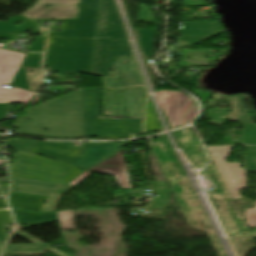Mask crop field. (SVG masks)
Masks as SVG:
<instances>
[{
  "label": "crop field",
  "instance_id": "crop-field-1",
  "mask_svg": "<svg viewBox=\"0 0 256 256\" xmlns=\"http://www.w3.org/2000/svg\"><path fill=\"white\" fill-rule=\"evenodd\" d=\"M70 94L45 102L47 106L40 104L27 109V117H19L16 122L22 126L17 127L15 134L50 139L83 138L82 90Z\"/></svg>",
  "mask_w": 256,
  "mask_h": 256
},
{
  "label": "crop field",
  "instance_id": "crop-field-2",
  "mask_svg": "<svg viewBox=\"0 0 256 256\" xmlns=\"http://www.w3.org/2000/svg\"><path fill=\"white\" fill-rule=\"evenodd\" d=\"M128 143L130 142L81 144L75 147V143L36 142L29 153L86 169L116 153Z\"/></svg>",
  "mask_w": 256,
  "mask_h": 256
},
{
  "label": "crop field",
  "instance_id": "crop-field-3",
  "mask_svg": "<svg viewBox=\"0 0 256 256\" xmlns=\"http://www.w3.org/2000/svg\"><path fill=\"white\" fill-rule=\"evenodd\" d=\"M94 40L49 38L43 67H53L54 72L90 74Z\"/></svg>",
  "mask_w": 256,
  "mask_h": 256
},
{
  "label": "crop field",
  "instance_id": "crop-field-4",
  "mask_svg": "<svg viewBox=\"0 0 256 256\" xmlns=\"http://www.w3.org/2000/svg\"><path fill=\"white\" fill-rule=\"evenodd\" d=\"M84 137L124 138L141 133L143 120L98 118V89H83Z\"/></svg>",
  "mask_w": 256,
  "mask_h": 256
},
{
  "label": "crop field",
  "instance_id": "crop-field-5",
  "mask_svg": "<svg viewBox=\"0 0 256 256\" xmlns=\"http://www.w3.org/2000/svg\"><path fill=\"white\" fill-rule=\"evenodd\" d=\"M83 170L16 150L9 167L10 175L14 177L62 184H66Z\"/></svg>",
  "mask_w": 256,
  "mask_h": 256
},
{
  "label": "crop field",
  "instance_id": "crop-field-6",
  "mask_svg": "<svg viewBox=\"0 0 256 256\" xmlns=\"http://www.w3.org/2000/svg\"><path fill=\"white\" fill-rule=\"evenodd\" d=\"M100 0H81L78 19H61L63 32L49 37L95 38Z\"/></svg>",
  "mask_w": 256,
  "mask_h": 256
},
{
  "label": "crop field",
  "instance_id": "crop-field-7",
  "mask_svg": "<svg viewBox=\"0 0 256 256\" xmlns=\"http://www.w3.org/2000/svg\"><path fill=\"white\" fill-rule=\"evenodd\" d=\"M47 197L11 193L9 201L17 223L32 227L56 220L55 213H41Z\"/></svg>",
  "mask_w": 256,
  "mask_h": 256
},
{
  "label": "crop field",
  "instance_id": "crop-field-8",
  "mask_svg": "<svg viewBox=\"0 0 256 256\" xmlns=\"http://www.w3.org/2000/svg\"><path fill=\"white\" fill-rule=\"evenodd\" d=\"M119 56L133 57L127 40L97 39L92 60L91 74H108Z\"/></svg>",
  "mask_w": 256,
  "mask_h": 256
},
{
  "label": "crop field",
  "instance_id": "crop-field-9",
  "mask_svg": "<svg viewBox=\"0 0 256 256\" xmlns=\"http://www.w3.org/2000/svg\"><path fill=\"white\" fill-rule=\"evenodd\" d=\"M24 54L0 49V86L10 84ZM33 95L21 89L0 88V103H26Z\"/></svg>",
  "mask_w": 256,
  "mask_h": 256
},
{
  "label": "crop field",
  "instance_id": "crop-field-10",
  "mask_svg": "<svg viewBox=\"0 0 256 256\" xmlns=\"http://www.w3.org/2000/svg\"><path fill=\"white\" fill-rule=\"evenodd\" d=\"M232 147H208V150L232 198L236 199L240 198L237 191L247 188V182L245 169H240V163L225 162Z\"/></svg>",
  "mask_w": 256,
  "mask_h": 256
},
{
  "label": "crop field",
  "instance_id": "crop-field-11",
  "mask_svg": "<svg viewBox=\"0 0 256 256\" xmlns=\"http://www.w3.org/2000/svg\"><path fill=\"white\" fill-rule=\"evenodd\" d=\"M155 95L172 128L178 126L193 104L191 99L181 92L162 91Z\"/></svg>",
  "mask_w": 256,
  "mask_h": 256
},
{
  "label": "crop field",
  "instance_id": "crop-field-12",
  "mask_svg": "<svg viewBox=\"0 0 256 256\" xmlns=\"http://www.w3.org/2000/svg\"><path fill=\"white\" fill-rule=\"evenodd\" d=\"M96 38L127 39L113 0H101Z\"/></svg>",
  "mask_w": 256,
  "mask_h": 256
},
{
  "label": "crop field",
  "instance_id": "crop-field-13",
  "mask_svg": "<svg viewBox=\"0 0 256 256\" xmlns=\"http://www.w3.org/2000/svg\"><path fill=\"white\" fill-rule=\"evenodd\" d=\"M79 2L80 0H39L34 7L21 14L31 18L46 9V5H73V7H51L34 19L77 18L79 7H75V4Z\"/></svg>",
  "mask_w": 256,
  "mask_h": 256
},
{
  "label": "crop field",
  "instance_id": "crop-field-14",
  "mask_svg": "<svg viewBox=\"0 0 256 256\" xmlns=\"http://www.w3.org/2000/svg\"><path fill=\"white\" fill-rule=\"evenodd\" d=\"M89 170L101 174H112L121 189L131 188L122 150L117 153L116 157H112Z\"/></svg>",
  "mask_w": 256,
  "mask_h": 256
},
{
  "label": "crop field",
  "instance_id": "crop-field-15",
  "mask_svg": "<svg viewBox=\"0 0 256 256\" xmlns=\"http://www.w3.org/2000/svg\"><path fill=\"white\" fill-rule=\"evenodd\" d=\"M23 21V23L19 26H12L18 21ZM27 29H31L32 34H38V31H47L48 29L37 28V23L18 15L14 18H10L7 22H0V31L20 34L22 32H27Z\"/></svg>",
  "mask_w": 256,
  "mask_h": 256
},
{
  "label": "crop field",
  "instance_id": "crop-field-16",
  "mask_svg": "<svg viewBox=\"0 0 256 256\" xmlns=\"http://www.w3.org/2000/svg\"><path fill=\"white\" fill-rule=\"evenodd\" d=\"M50 244L8 245L4 256L43 255Z\"/></svg>",
  "mask_w": 256,
  "mask_h": 256
},
{
  "label": "crop field",
  "instance_id": "crop-field-17",
  "mask_svg": "<svg viewBox=\"0 0 256 256\" xmlns=\"http://www.w3.org/2000/svg\"><path fill=\"white\" fill-rule=\"evenodd\" d=\"M11 192L48 196V199L42 209V212L54 211L62 195L61 193L38 191V190L15 188V187H12Z\"/></svg>",
  "mask_w": 256,
  "mask_h": 256
},
{
  "label": "crop field",
  "instance_id": "crop-field-18",
  "mask_svg": "<svg viewBox=\"0 0 256 256\" xmlns=\"http://www.w3.org/2000/svg\"><path fill=\"white\" fill-rule=\"evenodd\" d=\"M183 34L219 33L218 22L184 23L181 27Z\"/></svg>",
  "mask_w": 256,
  "mask_h": 256
},
{
  "label": "crop field",
  "instance_id": "crop-field-19",
  "mask_svg": "<svg viewBox=\"0 0 256 256\" xmlns=\"http://www.w3.org/2000/svg\"><path fill=\"white\" fill-rule=\"evenodd\" d=\"M11 183L12 185H15V186L38 188V189H45V190H52V191H58L63 186H65L62 184L41 182V181L14 178V177H11Z\"/></svg>",
  "mask_w": 256,
  "mask_h": 256
},
{
  "label": "crop field",
  "instance_id": "crop-field-20",
  "mask_svg": "<svg viewBox=\"0 0 256 256\" xmlns=\"http://www.w3.org/2000/svg\"><path fill=\"white\" fill-rule=\"evenodd\" d=\"M245 127L242 133V144L256 145V125L252 124V116L239 117Z\"/></svg>",
  "mask_w": 256,
  "mask_h": 256
},
{
  "label": "crop field",
  "instance_id": "crop-field-21",
  "mask_svg": "<svg viewBox=\"0 0 256 256\" xmlns=\"http://www.w3.org/2000/svg\"><path fill=\"white\" fill-rule=\"evenodd\" d=\"M145 57L152 56L155 29H136Z\"/></svg>",
  "mask_w": 256,
  "mask_h": 256
},
{
  "label": "crop field",
  "instance_id": "crop-field-22",
  "mask_svg": "<svg viewBox=\"0 0 256 256\" xmlns=\"http://www.w3.org/2000/svg\"><path fill=\"white\" fill-rule=\"evenodd\" d=\"M232 112L229 121H239V116L248 115L246 111L245 95L231 98Z\"/></svg>",
  "mask_w": 256,
  "mask_h": 256
},
{
  "label": "crop field",
  "instance_id": "crop-field-23",
  "mask_svg": "<svg viewBox=\"0 0 256 256\" xmlns=\"http://www.w3.org/2000/svg\"><path fill=\"white\" fill-rule=\"evenodd\" d=\"M14 224L9 210L0 211V255L8 241L10 235H7L3 226Z\"/></svg>",
  "mask_w": 256,
  "mask_h": 256
},
{
  "label": "crop field",
  "instance_id": "crop-field-24",
  "mask_svg": "<svg viewBox=\"0 0 256 256\" xmlns=\"http://www.w3.org/2000/svg\"><path fill=\"white\" fill-rule=\"evenodd\" d=\"M155 108L152 104L151 99L149 98L148 103H147V107L145 109L146 112V121L144 123V127H145V132H151V131H155V130H160L157 122L155 120L154 117V112Z\"/></svg>",
  "mask_w": 256,
  "mask_h": 256
},
{
  "label": "crop field",
  "instance_id": "crop-field-25",
  "mask_svg": "<svg viewBox=\"0 0 256 256\" xmlns=\"http://www.w3.org/2000/svg\"><path fill=\"white\" fill-rule=\"evenodd\" d=\"M60 230L75 229L74 211L58 212Z\"/></svg>",
  "mask_w": 256,
  "mask_h": 256
},
{
  "label": "crop field",
  "instance_id": "crop-field-26",
  "mask_svg": "<svg viewBox=\"0 0 256 256\" xmlns=\"http://www.w3.org/2000/svg\"><path fill=\"white\" fill-rule=\"evenodd\" d=\"M34 144L35 142L33 141L19 140V139H12V140L6 141L7 147L15 148V149L26 151V152L30 151V149L33 147Z\"/></svg>",
  "mask_w": 256,
  "mask_h": 256
},
{
  "label": "crop field",
  "instance_id": "crop-field-27",
  "mask_svg": "<svg viewBox=\"0 0 256 256\" xmlns=\"http://www.w3.org/2000/svg\"><path fill=\"white\" fill-rule=\"evenodd\" d=\"M208 115H209V118H211V121L209 122V124L223 126L228 115V110L213 109L211 112H209ZM221 115H223V118H220Z\"/></svg>",
  "mask_w": 256,
  "mask_h": 256
},
{
  "label": "crop field",
  "instance_id": "crop-field-28",
  "mask_svg": "<svg viewBox=\"0 0 256 256\" xmlns=\"http://www.w3.org/2000/svg\"><path fill=\"white\" fill-rule=\"evenodd\" d=\"M12 85L24 88L26 90L29 89L28 81H27V76H26V70L25 67H20L13 82Z\"/></svg>",
  "mask_w": 256,
  "mask_h": 256
},
{
  "label": "crop field",
  "instance_id": "crop-field-29",
  "mask_svg": "<svg viewBox=\"0 0 256 256\" xmlns=\"http://www.w3.org/2000/svg\"><path fill=\"white\" fill-rule=\"evenodd\" d=\"M42 54L27 53L21 66L40 69Z\"/></svg>",
  "mask_w": 256,
  "mask_h": 256
},
{
  "label": "crop field",
  "instance_id": "crop-field-30",
  "mask_svg": "<svg viewBox=\"0 0 256 256\" xmlns=\"http://www.w3.org/2000/svg\"><path fill=\"white\" fill-rule=\"evenodd\" d=\"M247 151L246 161L249 166V172H256V147L247 146Z\"/></svg>",
  "mask_w": 256,
  "mask_h": 256
},
{
  "label": "crop field",
  "instance_id": "crop-field-31",
  "mask_svg": "<svg viewBox=\"0 0 256 256\" xmlns=\"http://www.w3.org/2000/svg\"><path fill=\"white\" fill-rule=\"evenodd\" d=\"M46 38L35 37L28 52H43Z\"/></svg>",
  "mask_w": 256,
  "mask_h": 256
},
{
  "label": "crop field",
  "instance_id": "crop-field-32",
  "mask_svg": "<svg viewBox=\"0 0 256 256\" xmlns=\"http://www.w3.org/2000/svg\"><path fill=\"white\" fill-rule=\"evenodd\" d=\"M246 221L248 227H256V207L254 209H247Z\"/></svg>",
  "mask_w": 256,
  "mask_h": 256
},
{
  "label": "crop field",
  "instance_id": "crop-field-33",
  "mask_svg": "<svg viewBox=\"0 0 256 256\" xmlns=\"http://www.w3.org/2000/svg\"><path fill=\"white\" fill-rule=\"evenodd\" d=\"M196 112H197V108H196L195 104H193V106L188 111V113L186 114V116L184 117V119L181 121V123L179 125L185 124L188 121H190L192 118H194Z\"/></svg>",
  "mask_w": 256,
  "mask_h": 256
},
{
  "label": "crop field",
  "instance_id": "crop-field-34",
  "mask_svg": "<svg viewBox=\"0 0 256 256\" xmlns=\"http://www.w3.org/2000/svg\"><path fill=\"white\" fill-rule=\"evenodd\" d=\"M9 104H0V121L9 116Z\"/></svg>",
  "mask_w": 256,
  "mask_h": 256
},
{
  "label": "crop field",
  "instance_id": "crop-field-35",
  "mask_svg": "<svg viewBox=\"0 0 256 256\" xmlns=\"http://www.w3.org/2000/svg\"><path fill=\"white\" fill-rule=\"evenodd\" d=\"M215 35H203V36H181L180 40H189V41H201L212 37Z\"/></svg>",
  "mask_w": 256,
  "mask_h": 256
},
{
  "label": "crop field",
  "instance_id": "crop-field-36",
  "mask_svg": "<svg viewBox=\"0 0 256 256\" xmlns=\"http://www.w3.org/2000/svg\"><path fill=\"white\" fill-rule=\"evenodd\" d=\"M90 174H92V172H88L86 171L85 173H83L80 177H78L76 180H74L71 184L72 186H77L78 184H80L84 179H86Z\"/></svg>",
  "mask_w": 256,
  "mask_h": 256
},
{
  "label": "crop field",
  "instance_id": "crop-field-37",
  "mask_svg": "<svg viewBox=\"0 0 256 256\" xmlns=\"http://www.w3.org/2000/svg\"><path fill=\"white\" fill-rule=\"evenodd\" d=\"M8 193V185H0V197H6Z\"/></svg>",
  "mask_w": 256,
  "mask_h": 256
},
{
  "label": "crop field",
  "instance_id": "crop-field-38",
  "mask_svg": "<svg viewBox=\"0 0 256 256\" xmlns=\"http://www.w3.org/2000/svg\"><path fill=\"white\" fill-rule=\"evenodd\" d=\"M15 37H16V35H14V34L0 32V38H7V41H12L13 39H15Z\"/></svg>",
  "mask_w": 256,
  "mask_h": 256
},
{
  "label": "crop field",
  "instance_id": "crop-field-39",
  "mask_svg": "<svg viewBox=\"0 0 256 256\" xmlns=\"http://www.w3.org/2000/svg\"><path fill=\"white\" fill-rule=\"evenodd\" d=\"M210 93H202L199 97L202 101V103L204 104L206 102V100L210 97Z\"/></svg>",
  "mask_w": 256,
  "mask_h": 256
},
{
  "label": "crop field",
  "instance_id": "crop-field-40",
  "mask_svg": "<svg viewBox=\"0 0 256 256\" xmlns=\"http://www.w3.org/2000/svg\"><path fill=\"white\" fill-rule=\"evenodd\" d=\"M6 207H8V206H7L6 202H5V199H1L0 200V208H6Z\"/></svg>",
  "mask_w": 256,
  "mask_h": 256
},
{
  "label": "crop field",
  "instance_id": "crop-field-41",
  "mask_svg": "<svg viewBox=\"0 0 256 256\" xmlns=\"http://www.w3.org/2000/svg\"><path fill=\"white\" fill-rule=\"evenodd\" d=\"M73 187H71V186H67V187H65L64 189H62L61 191L62 192H67V191H69L70 189H72Z\"/></svg>",
  "mask_w": 256,
  "mask_h": 256
},
{
  "label": "crop field",
  "instance_id": "crop-field-42",
  "mask_svg": "<svg viewBox=\"0 0 256 256\" xmlns=\"http://www.w3.org/2000/svg\"><path fill=\"white\" fill-rule=\"evenodd\" d=\"M193 93L199 96L202 93V91L194 90Z\"/></svg>",
  "mask_w": 256,
  "mask_h": 256
},
{
  "label": "crop field",
  "instance_id": "crop-field-43",
  "mask_svg": "<svg viewBox=\"0 0 256 256\" xmlns=\"http://www.w3.org/2000/svg\"><path fill=\"white\" fill-rule=\"evenodd\" d=\"M253 235H256V231L252 232Z\"/></svg>",
  "mask_w": 256,
  "mask_h": 256
},
{
  "label": "crop field",
  "instance_id": "crop-field-44",
  "mask_svg": "<svg viewBox=\"0 0 256 256\" xmlns=\"http://www.w3.org/2000/svg\"><path fill=\"white\" fill-rule=\"evenodd\" d=\"M4 161L0 160V165L3 163Z\"/></svg>",
  "mask_w": 256,
  "mask_h": 256
},
{
  "label": "crop field",
  "instance_id": "crop-field-45",
  "mask_svg": "<svg viewBox=\"0 0 256 256\" xmlns=\"http://www.w3.org/2000/svg\"><path fill=\"white\" fill-rule=\"evenodd\" d=\"M1 138H2V136H0V141H1Z\"/></svg>",
  "mask_w": 256,
  "mask_h": 256
}]
</instances>
